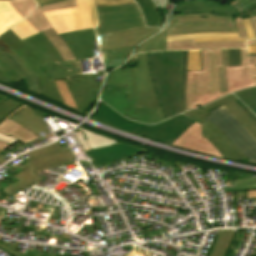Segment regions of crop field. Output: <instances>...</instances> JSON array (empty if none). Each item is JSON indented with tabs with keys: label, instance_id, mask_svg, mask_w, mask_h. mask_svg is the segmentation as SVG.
Here are the masks:
<instances>
[{
	"label": "crop field",
	"instance_id": "obj_1",
	"mask_svg": "<svg viewBox=\"0 0 256 256\" xmlns=\"http://www.w3.org/2000/svg\"><path fill=\"white\" fill-rule=\"evenodd\" d=\"M104 83L100 99L121 115L149 124L165 120L152 84L147 53L138 54V68L116 69Z\"/></svg>",
	"mask_w": 256,
	"mask_h": 256
},
{
	"label": "crop field",
	"instance_id": "obj_2",
	"mask_svg": "<svg viewBox=\"0 0 256 256\" xmlns=\"http://www.w3.org/2000/svg\"><path fill=\"white\" fill-rule=\"evenodd\" d=\"M237 11L211 0L185 2L173 8V21L165 32L166 35L237 32L232 18Z\"/></svg>",
	"mask_w": 256,
	"mask_h": 256
},
{
	"label": "crop field",
	"instance_id": "obj_3",
	"mask_svg": "<svg viewBox=\"0 0 256 256\" xmlns=\"http://www.w3.org/2000/svg\"><path fill=\"white\" fill-rule=\"evenodd\" d=\"M148 56L153 83L167 119L182 112L180 99L182 51L154 52L148 53Z\"/></svg>",
	"mask_w": 256,
	"mask_h": 256
},
{
	"label": "crop field",
	"instance_id": "obj_4",
	"mask_svg": "<svg viewBox=\"0 0 256 256\" xmlns=\"http://www.w3.org/2000/svg\"><path fill=\"white\" fill-rule=\"evenodd\" d=\"M0 38L18 53L40 77L42 94L64 104L54 81H51L48 75L39 67L49 63L63 61L58 51L52 46L44 34L41 32L21 41L16 34L8 30Z\"/></svg>",
	"mask_w": 256,
	"mask_h": 256
},
{
	"label": "crop field",
	"instance_id": "obj_5",
	"mask_svg": "<svg viewBox=\"0 0 256 256\" xmlns=\"http://www.w3.org/2000/svg\"><path fill=\"white\" fill-rule=\"evenodd\" d=\"M201 71H187L186 107H202L228 95L220 94L218 67H223L222 50H200ZM210 73V75H208Z\"/></svg>",
	"mask_w": 256,
	"mask_h": 256
},
{
	"label": "crop field",
	"instance_id": "obj_6",
	"mask_svg": "<svg viewBox=\"0 0 256 256\" xmlns=\"http://www.w3.org/2000/svg\"><path fill=\"white\" fill-rule=\"evenodd\" d=\"M80 64V61H68L41 68L50 76L51 80L64 79L66 81L80 113L84 115L97 101L102 85V82H93V75L105 76V73L98 71L97 74H82Z\"/></svg>",
	"mask_w": 256,
	"mask_h": 256
},
{
	"label": "crop field",
	"instance_id": "obj_7",
	"mask_svg": "<svg viewBox=\"0 0 256 256\" xmlns=\"http://www.w3.org/2000/svg\"><path fill=\"white\" fill-rule=\"evenodd\" d=\"M95 119L169 145H171L191 124L195 123L191 119L179 114L159 125L150 126L139 124L121 117L107 105L99 107Z\"/></svg>",
	"mask_w": 256,
	"mask_h": 256
},
{
	"label": "crop field",
	"instance_id": "obj_8",
	"mask_svg": "<svg viewBox=\"0 0 256 256\" xmlns=\"http://www.w3.org/2000/svg\"><path fill=\"white\" fill-rule=\"evenodd\" d=\"M205 117L215 124L226 137L256 164V139L241 125V123L222 105Z\"/></svg>",
	"mask_w": 256,
	"mask_h": 256
},
{
	"label": "crop field",
	"instance_id": "obj_9",
	"mask_svg": "<svg viewBox=\"0 0 256 256\" xmlns=\"http://www.w3.org/2000/svg\"><path fill=\"white\" fill-rule=\"evenodd\" d=\"M99 26L97 35L145 27L136 4L97 8Z\"/></svg>",
	"mask_w": 256,
	"mask_h": 256
},
{
	"label": "crop field",
	"instance_id": "obj_10",
	"mask_svg": "<svg viewBox=\"0 0 256 256\" xmlns=\"http://www.w3.org/2000/svg\"><path fill=\"white\" fill-rule=\"evenodd\" d=\"M78 7L44 12L57 33L90 28L87 0H77Z\"/></svg>",
	"mask_w": 256,
	"mask_h": 256
},
{
	"label": "crop field",
	"instance_id": "obj_11",
	"mask_svg": "<svg viewBox=\"0 0 256 256\" xmlns=\"http://www.w3.org/2000/svg\"><path fill=\"white\" fill-rule=\"evenodd\" d=\"M226 75L229 93L256 86V57H247L246 49H241V66L227 67Z\"/></svg>",
	"mask_w": 256,
	"mask_h": 256
},
{
	"label": "crop field",
	"instance_id": "obj_12",
	"mask_svg": "<svg viewBox=\"0 0 256 256\" xmlns=\"http://www.w3.org/2000/svg\"><path fill=\"white\" fill-rule=\"evenodd\" d=\"M158 28H144L108 35L97 36L100 50L137 46L142 41L156 34Z\"/></svg>",
	"mask_w": 256,
	"mask_h": 256
},
{
	"label": "crop field",
	"instance_id": "obj_13",
	"mask_svg": "<svg viewBox=\"0 0 256 256\" xmlns=\"http://www.w3.org/2000/svg\"><path fill=\"white\" fill-rule=\"evenodd\" d=\"M29 154L33 158L28 160L29 162L25 165L19 167L22 170L28 166L36 170L66 160L76 159L69 147L62 149L57 142L34 150Z\"/></svg>",
	"mask_w": 256,
	"mask_h": 256
},
{
	"label": "crop field",
	"instance_id": "obj_14",
	"mask_svg": "<svg viewBox=\"0 0 256 256\" xmlns=\"http://www.w3.org/2000/svg\"><path fill=\"white\" fill-rule=\"evenodd\" d=\"M60 36L76 60L92 58L94 56L93 49H98L94 29L75 31Z\"/></svg>",
	"mask_w": 256,
	"mask_h": 256
},
{
	"label": "crop field",
	"instance_id": "obj_15",
	"mask_svg": "<svg viewBox=\"0 0 256 256\" xmlns=\"http://www.w3.org/2000/svg\"><path fill=\"white\" fill-rule=\"evenodd\" d=\"M172 145L198 153L223 158L219 151L201 136V126L197 123L191 125Z\"/></svg>",
	"mask_w": 256,
	"mask_h": 256
},
{
	"label": "crop field",
	"instance_id": "obj_16",
	"mask_svg": "<svg viewBox=\"0 0 256 256\" xmlns=\"http://www.w3.org/2000/svg\"><path fill=\"white\" fill-rule=\"evenodd\" d=\"M146 150L133 147L124 143L111 145L95 150L85 151L86 156H88L91 161L90 163L96 167L117 159L129 157Z\"/></svg>",
	"mask_w": 256,
	"mask_h": 256
},
{
	"label": "crop field",
	"instance_id": "obj_17",
	"mask_svg": "<svg viewBox=\"0 0 256 256\" xmlns=\"http://www.w3.org/2000/svg\"><path fill=\"white\" fill-rule=\"evenodd\" d=\"M201 125L202 135L220 151L224 158L235 161L247 159V157L241 154L242 152L240 153L225 135L211 122L206 120Z\"/></svg>",
	"mask_w": 256,
	"mask_h": 256
},
{
	"label": "crop field",
	"instance_id": "obj_18",
	"mask_svg": "<svg viewBox=\"0 0 256 256\" xmlns=\"http://www.w3.org/2000/svg\"><path fill=\"white\" fill-rule=\"evenodd\" d=\"M0 52L11 61L27 78L29 89L33 92L39 93V77L35 72L26 64V62L17 55L4 41L0 39Z\"/></svg>",
	"mask_w": 256,
	"mask_h": 256
},
{
	"label": "crop field",
	"instance_id": "obj_19",
	"mask_svg": "<svg viewBox=\"0 0 256 256\" xmlns=\"http://www.w3.org/2000/svg\"><path fill=\"white\" fill-rule=\"evenodd\" d=\"M68 162H72L71 161H67V162H63L60 164H56L50 167H46L40 170H44V169H48V168H52L58 165H62ZM39 171V170H36ZM15 178H17L19 181L13 183L12 185L2 189L4 192L8 193L12 198H17L19 199L20 195H18L17 193L20 192L21 190L27 188L28 186L38 182L41 180V178H39L35 173L34 170H32L31 168H26L25 170L19 172L16 176H14ZM16 179V180H17Z\"/></svg>",
	"mask_w": 256,
	"mask_h": 256
},
{
	"label": "crop field",
	"instance_id": "obj_20",
	"mask_svg": "<svg viewBox=\"0 0 256 256\" xmlns=\"http://www.w3.org/2000/svg\"><path fill=\"white\" fill-rule=\"evenodd\" d=\"M14 122L26 127L29 131L33 132L37 135V137L41 138L38 134L40 132L49 133L50 131L45 127L41 119L38 117L35 118L30 107H26L23 110L19 111L15 116L10 118Z\"/></svg>",
	"mask_w": 256,
	"mask_h": 256
},
{
	"label": "crop field",
	"instance_id": "obj_21",
	"mask_svg": "<svg viewBox=\"0 0 256 256\" xmlns=\"http://www.w3.org/2000/svg\"><path fill=\"white\" fill-rule=\"evenodd\" d=\"M77 6L75 0H69L53 5H48V6H42V7H37L31 15L26 18V20L33 25L39 32L47 30L51 28V25L43 15V11L47 10H53V9H59V8H65V7H73Z\"/></svg>",
	"mask_w": 256,
	"mask_h": 256
},
{
	"label": "crop field",
	"instance_id": "obj_22",
	"mask_svg": "<svg viewBox=\"0 0 256 256\" xmlns=\"http://www.w3.org/2000/svg\"><path fill=\"white\" fill-rule=\"evenodd\" d=\"M167 50L176 49H200V48H228L246 47V42H203L194 43V40L166 43Z\"/></svg>",
	"mask_w": 256,
	"mask_h": 256
},
{
	"label": "crop field",
	"instance_id": "obj_23",
	"mask_svg": "<svg viewBox=\"0 0 256 256\" xmlns=\"http://www.w3.org/2000/svg\"><path fill=\"white\" fill-rule=\"evenodd\" d=\"M27 105H23L15 110L12 114H10L7 118H5L0 123V132L6 135H13L18 139L22 140L25 144L37 139L36 135L30 133L27 129L21 127L20 125L14 123L13 121L9 120L8 118L15 115L20 109L24 108Z\"/></svg>",
	"mask_w": 256,
	"mask_h": 256
},
{
	"label": "crop field",
	"instance_id": "obj_24",
	"mask_svg": "<svg viewBox=\"0 0 256 256\" xmlns=\"http://www.w3.org/2000/svg\"><path fill=\"white\" fill-rule=\"evenodd\" d=\"M185 39H195V42L203 41H246L239 39L237 33H198L189 35H179V36H166V42L185 40Z\"/></svg>",
	"mask_w": 256,
	"mask_h": 256
},
{
	"label": "crop field",
	"instance_id": "obj_25",
	"mask_svg": "<svg viewBox=\"0 0 256 256\" xmlns=\"http://www.w3.org/2000/svg\"><path fill=\"white\" fill-rule=\"evenodd\" d=\"M75 137L81 145L83 151L95 149L111 144H116V141L94 134L92 132L81 129L74 132Z\"/></svg>",
	"mask_w": 256,
	"mask_h": 256
},
{
	"label": "crop field",
	"instance_id": "obj_26",
	"mask_svg": "<svg viewBox=\"0 0 256 256\" xmlns=\"http://www.w3.org/2000/svg\"><path fill=\"white\" fill-rule=\"evenodd\" d=\"M133 49L134 47L102 51L101 54H102L106 73L122 65L128 59Z\"/></svg>",
	"mask_w": 256,
	"mask_h": 256
},
{
	"label": "crop field",
	"instance_id": "obj_27",
	"mask_svg": "<svg viewBox=\"0 0 256 256\" xmlns=\"http://www.w3.org/2000/svg\"><path fill=\"white\" fill-rule=\"evenodd\" d=\"M24 19L9 1H0V34Z\"/></svg>",
	"mask_w": 256,
	"mask_h": 256
},
{
	"label": "crop field",
	"instance_id": "obj_28",
	"mask_svg": "<svg viewBox=\"0 0 256 256\" xmlns=\"http://www.w3.org/2000/svg\"><path fill=\"white\" fill-rule=\"evenodd\" d=\"M237 229L219 230L209 256H224Z\"/></svg>",
	"mask_w": 256,
	"mask_h": 256
},
{
	"label": "crop field",
	"instance_id": "obj_29",
	"mask_svg": "<svg viewBox=\"0 0 256 256\" xmlns=\"http://www.w3.org/2000/svg\"><path fill=\"white\" fill-rule=\"evenodd\" d=\"M256 138V123L242 110V108L233 100L224 105Z\"/></svg>",
	"mask_w": 256,
	"mask_h": 256
},
{
	"label": "crop field",
	"instance_id": "obj_30",
	"mask_svg": "<svg viewBox=\"0 0 256 256\" xmlns=\"http://www.w3.org/2000/svg\"><path fill=\"white\" fill-rule=\"evenodd\" d=\"M134 1L139 5L144 15L146 25L149 27H159L160 17L153 3L150 0H134Z\"/></svg>",
	"mask_w": 256,
	"mask_h": 256
},
{
	"label": "crop field",
	"instance_id": "obj_31",
	"mask_svg": "<svg viewBox=\"0 0 256 256\" xmlns=\"http://www.w3.org/2000/svg\"><path fill=\"white\" fill-rule=\"evenodd\" d=\"M22 77V73L0 53V79L14 83Z\"/></svg>",
	"mask_w": 256,
	"mask_h": 256
},
{
	"label": "crop field",
	"instance_id": "obj_32",
	"mask_svg": "<svg viewBox=\"0 0 256 256\" xmlns=\"http://www.w3.org/2000/svg\"><path fill=\"white\" fill-rule=\"evenodd\" d=\"M235 98L236 97L234 95L230 94V95H228V96H226V97H224L220 100H217L213 103H210V104L202 107L199 110L188 111V112H184L183 114L192 118V119H194V120H196V121H198V122H200V123H202L203 121L206 120L203 117L209 114L207 111L212 110V109H214V108H216V107H218V106H220V105H222V104H224V103H226V102H228L232 99H235Z\"/></svg>",
	"mask_w": 256,
	"mask_h": 256
},
{
	"label": "crop field",
	"instance_id": "obj_33",
	"mask_svg": "<svg viewBox=\"0 0 256 256\" xmlns=\"http://www.w3.org/2000/svg\"><path fill=\"white\" fill-rule=\"evenodd\" d=\"M46 37L52 42L54 47L60 52L64 61L66 60H75L71 51L60 38V36L55 32L53 28L43 32Z\"/></svg>",
	"mask_w": 256,
	"mask_h": 256
},
{
	"label": "crop field",
	"instance_id": "obj_34",
	"mask_svg": "<svg viewBox=\"0 0 256 256\" xmlns=\"http://www.w3.org/2000/svg\"><path fill=\"white\" fill-rule=\"evenodd\" d=\"M157 50H166L164 31L152 37V39H149L144 43H142L140 46L137 47L134 53L157 51Z\"/></svg>",
	"mask_w": 256,
	"mask_h": 256
},
{
	"label": "crop field",
	"instance_id": "obj_35",
	"mask_svg": "<svg viewBox=\"0 0 256 256\" xmlns=\"http://www.w3.org/2000/svg\"><path fill=\"white\" fill-rule=\"evenodd\" d=\"M21 105H23V103L0 95V121Z\"/></svg>",
	"mask_w": 256,
	"mask_h": 256
},
{
	"label": "crop field",
	"instance_id": "obj_36",
	"mask_svg": "<svg viewBox=\"0 0 256 256\" xmlns=\"http://www.w3.org/2000/svg\"><path fill=\"white\" fill-rule=\"evenodd\" d=\"M11 30L16 33L21 38V40L38 33V31L33 26H31L25 19L16 26H14Z\"/></svg>",
	"mask_w": 256,
	"mask_h": 256
},
{
	"label": "crop field",
	"instance_id": "obj_37",
	"mask_svg": "<svg viewBox=\"0 0 256 256\" xmlns=\"http://www.w3.org/2000/svg\"><path fill=\"white\" fill-rule=\"evenodd\" d=\"M251 110L256 108V87L235 93Z\"/></svg>",
	"mask_w": 256,
	"mask_h": 256
},
{
	"label": "crop field",
	"instance_id": "obj_38",
	"mask_svg": "<svg viewBox=\"0 0 256 256\" xmlns=\"http://www.w3.org/2000/svg\"><path fill=\"white\" fill-rule=\"evenodd\" d=\"M18 12L25 18L36 6V3L33 0H13L10 1Z\"/></svg>",
	"mask_w": 256,
	"mask_h": 256
},
{
	"label": "crop field",
	"instance_id": "obj_39",
	"mask_svg": "<svg viewBox=\"0 0 256 256\" xmlns=\"http://www.w3.org/2000/svg\"><path fill=\"white\" fill-rule=\"evenodd\" d=\"M54 81L58 87L59 93H60L63 101L65 102V104L78 111V109H77L68 89H67L65 82L63 80H54Z\"/></svg>",
	"mask_w": 256,
	"mask_h": 256
},
{
	"label": "crop field",
	"instance_id": "obj_40",
	"mask_svg": "<svg viewBox=\"0 0 256 256\" xmlns=\"http://www.w3.org/2000/svg\"><path fill=\"white\" fill-rule=\"evenodd\" d=\"M187 55H188V51H183L182 78H181V98H182L183 111H186V107H185V77H186Z\"/></svg>",
	"mask_w": 256,
	"mask_h": 256
},
{
	"label": "crop field",
	"instance_id": "obj_41",
	"mask_svg": "<svg viewBox=\"0 0 256 256\" xmlns=\"http://www.w3.org/2000/svg\"><path fill=\"white\" fill-rule=\"evenodd\" d=\"M187 70H200L199 50L189 51Z\"/></svg>",
	"mask_w": 256,
	"mask_h": 256
},
{
	"label": "crop field",
	"instance_id": "obj_42",
	"mask_svg": "<svg viewBox=\"0 0 256 256\" xmlns=\"http://www.w3.org/2000/svg\"><path fill=\"white\" fill-rule=\"evenodd\" d=\"M224 68H219L221 92L227 90L225 67L228 66L227 49L223 50Z\"/></svg>",
	"mask_w": 256,
	"mask_h": 256
},
{
	"label": "crop field",
	"instance_id": "obj_43",
	"mask_svg": "<svg viewBox=\"0 0 256 256\" xmlns=\"http://www.w3.org/2000/svg\"><path fill=\"white\" fill-rule=\"evenodd\" d=\"M1 238V236H0ZM18 245V242H16L15 244H13V246L11 248L5 246V245H2L0 244V247L8 250L9 252L15 254L16 256H40L41 252H38V251H29L27 250L25 254L21 253V252H18L15 250V247ZM7 251V252H8Z\"/></svg>",
	"mask_w": 256,
	"mask_h": 256
},
{
	"label": "crop field",
	"instance_id": "obj_44",
	"mask_svg": "<svg viewBox=\"0 0 256 256\" xmlns=\"http://www.w3.org/2000/svg\"><path fill=\"white\" fill-rule=\"evenodd\" d=\"M95 1H96L97 7L135 3L133 0H95Z\"/></svg>",
	"mask_w": 256,
	"mask_h": 256
},
{
	"label": "crop field",
	"instance_id": "obj_45",
	"mask_svg": "<svg viewBox=\"0 0 256 256\" xmlns=\"http://www.w3.org/2000/svg\"><path fill=\"white\" fill-rule=\"evenodd\" d=\"M229 66L240 65V49H228Z\"/></svg>",
	"mask_w": 256,
	"mask_h": 256
},
{
	"label": "crop field",
	"instance_id": "obj_46",
	"mask_svg": "<svg viewBox=\"0 0 256 256\" xmlns=\"http://www.w3.org/2000/svg\"><path fill=\"white\" fill-rule=\"evenodd\" d=\"M152 1L156 5L157 10L163 9V11L166 3H168V0H152ZM169 21H170V15L168 13H165V23L164 25L162 24L163 26L161 28L162 29L165 28L168 25Z\"/></svg>",
	"mask_w": 256,
	"mask_h": 256
},
{
	"label": "crop field",
	"instance_id": "obj_47",
	"mask_svg": "<svg viewBox=\"0 0 256 256\" xmlns=\"http://www.w3.org/2000/svg\"><path fill=\"white\" fill-rule=\"evenodd\" d=\"M88 6H89L92 27H96L98 24V21H97L96 12H95L94 1L88 0Z\"/></svg>",
	"mask_w": 256,
	"mask_h": 256
},
{
	"label": "crop field",
	"instance_id": "obj_48",
	"mask_svg": "<svg viewBox=\"0 0 256 256\" xmlns=\"http://www.w3.org/2000/svg\"><path fill=\"white\" fill-rule=\"evenodd\" d=\"M235 24H236V27H237V31H238L239 37L243 38V39H247L246 31H245V29L243 27V24L241 22V18L240 17L236 18Z\"/></svg>",
	"mask_w": 256,
	"mask_h": 256
},
{
	"label": "crop field",
	"instance_id": "obj_49",
	"mask_svg": "<svg viewBox=\"0 0 256 256\" xmlns=\"http://www.w3.org/2000/svg\"><path fill=\"white\" fill-rule=\"evenodd\" d=\"M242 22H243V24L245 26V29L247 31L248 38L249 39H254L249 18L242 19Z\"/></svg>",
	"mask_w": 256,
	"mask_h": 256
},
{
	"label": "crop field",
	"instance_id": "obj_50",
	"mask_svg": "<svg viewBox=\"0 0 256 256\" xmlns=\"http://www.w3.org/2000/svg\"><path fill=\"white\" fill-rule=\"evenodd\" d=\"M0 140H1V141H4V142H6V143H8V144H10V145L14 144V143L17 142V141L23 143L22 141L16 139L15 137H13V136H11V135H10V136H6V135L1 134V133H0ZM23 144H24V143H23Z\"/></svg>",
	"mask_w": 256,
	"mask_h": 256
},
{
	"label": "crop field",
	"instance_id": "obj_51",
	"mask_svg": "<svg viewBox=\"0 0 256 256\" xmlns=\"http://www.w3.org/2000/svg\"><path fill=\"white\" fill-rule=\"evenodd\" d=\"M243 109L244 111L256 122V116L238 99L235 100Z\"/></svg>",
	"mask_w": 256,
	"mask_h": 256
},
{
	"label": "crop field",
	"instance_id": "obj_52",
	"mask_svg": "<svg viewBox=\"0 0 256 256\" xmlns=\"http://www.w3.org/2000/svg\"><path fill=\"white\" fill-rule=\"evenodd\" d=\"M38 5H47V4H53V3H57V2H61V1H65V0H36Z\"/></svg>",
	"mask_w": 256,
	"mask_h": 256
},
{
	"label": "crop field",
	"instance_id": "obj_53",
	"mask_svg": "<svg viewBox=\"0 0 256 256\" xmlns=\"http://www.w3.org/2000/svg\"><path fill=\"white\" fill-rule=\"evenodd\" d=\"M250 20H251L253 31H254V35H255V38H256V16L251 17Z\"/></svg>",
	"mask_w": 256,
	"mask_h": 256
},
{
	"label": "crop field",
	"instance_id": "obj_54",
	"mask_svg": "<svg viewBox=\"0 0 256 256\" xmlns=\"http://www.w3.org/2000/svg\"><path fill=\"white\" fill-rule=\"evenodd\" d=\"M9 146H10V145H8V144H6V143L0 141V149H1V150L4 151V150L7 149Z\"/></svg>",
	"mask_w": 256,
	"mask_h": 256
},
{
	"label": "crop field",
	"instance_id": "obj_55",
	"mask_svg": "<svg viewBox=\"0 0 256 256\" xmlns=\"http://www.w3.org/2000/svg\"><path fill=\"white\" fill-rule=\"evenodd\" d=\"M248 51H256V46H248Z\"/></svg>",
	"mask_w": 256,
	"mask_h": 256
},
{
	"label": "crop field",
	"instance_id": "obj_56",
	"mask_svg": "<svg viewBox=\"0 0 256 256\" xmlns=\"http://www.w3.org/2000/svg\"><path fill=\"white\" fill-rule=\"evenodd\" d=\"M251 42H253V43H251ZM248 45H256V40H254V41H248Z\"/></svg>",
	"mask_w": 256,
	"mask_h": 256
},
{
	"label": "crop field",
	"instance_id": "obj_57",
	"mask_svg": "<svg viewBox=\"0 0 256 256\" xmlns=\"http://www.w3.org/2000/svg\"><path fill=\"white\" fill-rule=\"evenodd\" d=\"M249 56H256V53H249Z\"/></svg>",
	"mask_w": 256,
	"mask_h": 256
},
{
	"label": "crop field",
	"instance_id": "obj_58",
	"mask_svg": "<svg viewBox=\"0 0 256 256\" xmlns=\"http://www.w3.org/2000/svg\"><path fill=\"white\" fill-rule=\"evenodd\" d=\"M1 152H3V151L0 150V153H1ZM4 162H5V161H3V160L0 159V163H1V164L4 163Z\"/></svg>",
	"mask_w": 256,
	"mask_h": 256
},
{
	"label": "crop field",
	"instance_id": "obj_59",
	"mask_svg": "<svg viewBox=\"0 0 256 256\" xmlns=\"http://www.w3.org/2000/svg\"><path fill=\"white\" fill-rule=\"evenodd\" d=\"M253 112L256 114V109H255V110H253Z\"/></svg>",
	"mask_w": 256,
	"mask_h": 256
}]
</instances>
